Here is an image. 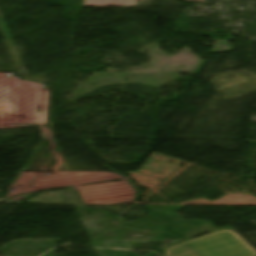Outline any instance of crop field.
I'll use <instances>...</instances> for the list:
<instances>
[{
	"instance_id": "crop-field-1",
	"label": "crop field",
	"mask_w": 256,
	"mask_h": 256,
	"mask_svg": "<svg viewBox=\"0 0 256 256\" xmlns=\"http://www.w3.org/2000/svg\"><path fill=\"white\" fill-rule=\"evenodd\" d=\"M190 245L203 256H256L253 248L235 230H220L171 246L164 251Z\"/></svg>"
},
{
	"instance_id": "crop-field-2",
	"label": "crop field",
	"mask_w": 256,
	"mask_h": 256,
	"mask_svg": "<svg viewBox=\"0 0 256 256\" xmlns=\"http://www.w3.org/2000/svg\"><path fill=\"white\" fill-rule=\"evenodd\" d=\"M164 256H202L190 246L167 251Z\"/></svg>"
}]
</instances>
